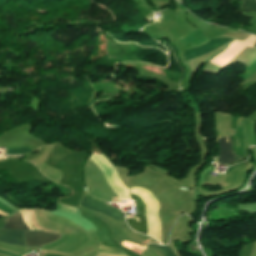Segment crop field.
<instances>
[{"label": "crop field", "mask_w": 256, "mask_h": 256, "mask_svg": "<svg viewBox=\"0 0 256 256\" xmlns=\"http://www.w3.org/2000/svg\"><path fill=\"white\" fill-rule=\"evenodd\" d=\"M8 230H20V231H28L29 229L25 226L21 211H16L11 217L6 218L4 228ZM1 230L0 231V240L5 241L12 244L23 245L26 246H35L38 247L44 245L46 243L57 240L60 235L55 234H47L42 233L40 231L26 232V241H25V232L20 231H8ZM38 247H35L37 249Z\"/></svg>", "instance_id": "1"}, {"label": "crop field", "mask_w": 256, "mask_h": 256, "mask_svg": "<svg viewBox=\"0 0 256 256\" xmlns=\"http://www.w3.org/2000/svg\"><path fill=\"white\" fill-rule=\"evenodd\" d=\"M131 196H132V199L137 203L141 222L139 221L140 220L139 217H137V219L139 220H137L136 218H133V219L127 220V223L132 229L149 235V226H148V220L146 216L147 203L139 195L131 193Z\"/></svg>", "instance_id": "2"}, {"label": "crop field", "mask_w": 256, "mask_h": 256, "mask_svg": "<svg viewBox=\"0 0 256 256\" xmlns=\"http://www.w3.org/2000/svg\"><path fill=\"white\" fill-rule=\"evenodd\" d=\"M230 40H232V39H229V38L213 39V40L207 42L203 46H199V47H197L195 49L184 51V53L182 54V58L184 60H189L191 58L198 57L200 55H204L205 53L210 52V51L216 49L217 47H219V46L229 42Z\"/></svg>", "instance_id": "3"}, {"label": "crop field", "mask_w": 256, "mask_h": 256, "mask_svg": "<svg viewBox=\"0 0 256 256\" xmlns=\"http://www.w3.org/2000/svg\"><path fill=\"white\" fill-rule=\"evenodd\" d=\"M230 143H226V137H222L218 140L219 143V154L218 164H230L232 162L244 159L238 155H235L232 149L231 136L229 137ZM227 142H229L227 137Z\"/></svg>", "instance_id": "4"}, {"label": "crop field", "mask_w": 256, "mask_h": 256, "mask_svg": "<svg viewBox=\"0 0 256 256\" xmlns=\"http://www.w3.org/2000/svg\"><path fill=\"white\" fill-rule=\"evenodd\" d=\"M82 206L95 210V211H99L102 212L106 215H108L109 217H111L113 220L115 221H120L123 219L124 216H122L120 213H118L116 210L102 204V203H98L95 202L91 199H88L86 197L83 198V202L81 204Z\"/></svg>", "instance_id": "5"}, {"label": "crop field", "mask_w": 256, "mask_h": 256, "mask_svg": "<svg viewBox=\"0 0 256 256\" xmlns=\"http://www.w3.org/2000/svg\"><path fill=\"white\" fill-rule=\"evenodd\" d=\"M149 247L152 249L156 256H175L170 247L168 246H158L155 244H150Z\"/></svg>", "instance_id": "6"}, {"label": "crop field", "mask_w": 256, "mask_h": 256, "mask_svg": "<svg viewBox=\"0 0 256 256\" xmlns=\"http://www.w3.org/2000/svg\"><path fill=\"white\" fill-rule=\"evenodd\" d=\"M256 1V0H249ZM243 1L242 9L247 11L256 12V2Z\"/></svg>", "instance_id": "7"}, {"label": "crop field", "mask_w": 256, "mask_h": 256, "mask_svg": "<svg viewBox=\"0 0 256 256\" xmlns=\"http://www.w3.org/2000/svg\"><path fill=\"white\" fill-rule=\"evenodd\" d=\"M30 152L28 148H22V149H8L6 151L7 154H26Z\"/></svg>", "instance_id": "8"}, {"label": "crop field", "mask_w": 256, "mask_h": 256, "mask_svg": "<svg viewBox=\"0 0 256 256\" xmlns=\"http://www.w3.org/2000/svg\"><path fill=\"white\" fill-rule=\"evenodd\" d=\"M38 151H40V148L39 149H37Z\"/></svg>", "instance_id": "9"}]
</instances>
